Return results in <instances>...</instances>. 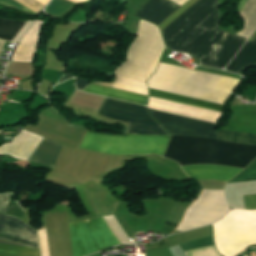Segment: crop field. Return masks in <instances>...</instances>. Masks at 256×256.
<instances>
[{
    "mask_svg": "<svg viewBox=\"0 0 256 256\" xmlns=\"http://www.w3.org/2000/svg\"><path fill=\"white\" fill-rule=\"evenodd\" d=\"M215 1L217 0H199L169 27ZM162 34L168 48L190 53L198 59L201 65L221 69L229 63L246 41L218 29L217 2L162 32Z\"/></svg>",
    "mask_w": 256,
    "mask_h": 256,
    "instance_id": "8a807250",
    "label": "crop field"
},
{
    "mask_svg": "<svg viewBox=\"0 0 256 256\" xmlns=\"http://www.w3.org/2000/svg\"><path fill=\"white\" fill-rule=\"evenodd\" d=\"M234 78L160 63L147 82L155 90L187 96L224 105L237 85Z\"/></svg>",
    "mask_w": 256,
    "mask_h": 256,
    "instance_id": "ac0d7876",
    "label": "crop field"
},
{
    "mask_svg": "<svg viewBox=\"0 0 256 256\" xmlns=\"http://www.w3.org/2000/svg\"><path fill=\"white\" fill-rule=\"evenodd\" d=\"M164 157L174 159L180 165L220 164L245 168L256 158V146L194 136H172Z\"/></svg>",
    "mask_w": 256,
    "mask_h": 256,
    "instance_id": "34b2d1b8",
    "label": "crop field"
},
{
    "mask_svg": "<svg viewBox=\"0 0 256 256\" xmlns=\"http://www.w3.org/2000/svg\"><path fill=\"white\" fill-rule=\"evenodd\" d=\"M164 48L159 28L141 20L137 38L128 52V59L115 73L146 82L156 71Z\"/></svg>",
    "mask_w": 256,
    "mask_h": 256,
    "instance_id": "412701ff",
    "label": "crop field"
},
{
    "mask_svg": "<svg viewBox=\"0 0 256 256\" xmlns=\"http://www.w3.org/2000/svg\"><path fill=\"white\" fill-rule=\"evenodd\" d=\"M170 136L112 135L87 131L80 147L108 154L163 155Z\"/></svg>",
    "mask_w": 256,
    "mask_h": 256,
    "instance_id": "f4fd0767",
    "label": "crop field"
},
{
    "mask_svg": "<svg viewBox=\"0 0 256 256\" xmlns=\"http://www.w3.org/2000/svg\"><path fill=\"white\" fill-rule=\"evenodd\" d=\"M69 226L73 256H84L120 244L103 217L72 222Z\"/></svg>",
    "mask_w": 256,
    "mask_h": 256,
    "instance_id": "dd49c442",
    "label": "crop field"
},
{
    "mask_svg": "<svg viewBox=\"0 0 256 256\" xmlns=\"http://www.w3.org/2000/svg\"><path fill=\"white\" fill-rule=\"evenodd\" d=\"M98 113L129 123L127 133L169 135L143 106L106 98Z\"/></svg>",
    "mask_w": 256,
    "mask_h": 256,
    "instance_id": "e52e79f7",
    "label": "crop field"
},
{
    "mask_svg": "<svg viewBox=\"0 0 256 256\" xmlns=\"http://www.w3.org/2000/svg\"><path fill=\"white\" fill-rule=\"evenodd\" d=\"M154 119L160 122L171 135H194L217 139L216 124L181 117L149 109Z\"/></svg>",
    "mask_w": 256,
    "mask_h": 256,
    "instance_id": "d8731c3e",
    "label": "crop field"
},
{
    "mask_svg": "<svg viewBox=\"0 0 256 256\" xmlns=\"http://www.w3.org/2000/svg\"><path fill=\"white\" fill-rule=\"evenodd\" d=\"M0 238L39 249L36 232L12 216L0 214Z\"/></svg>",
    "mask_w": 256,
    "mask_h": 256,
    "instance_id": "5a996713",
    "label": "crop field"
},
{
    "mask_svg": "<svg viewBox=\"0 0 256 256\" xmlns=\"http://www.w3.org/2000/svg\"><path fill=\"white\" fill-rule=\"evenodd\" d=\"M148 108L216 123L221 113L150 97Z\"/></svg>",
    "mask_w": 256,
    "mask_h": 256,
    "instance_id": "3316defc",
    "label": "crop field"
},
{
    "mask_svg": "<svg viewBox=\"0 0 256 256\" xmlns=\"http://www.w3.org/2000/svg\"><path fill=\"white\" fill-rule=\"evenodd\" d=\"M218 140L234 142V143H244V144H254L256 145V135L222 131L217 132ZM256 180V159L252 161L239 175L232 178L228 183L232 182H243V181H254Z\"/></svg>",
    "mask_w": 256,
    "mask_h": 256,
    "instance_id": "28ad6ade",
    "label": "crop field"
},
{
    "mask_svg": "<svg viewBox=\"0 0 256 256\" xmlns=\"http://www.w3.org/2000/svg\"><path fill=\"white\" fill-rule=\"evenodd\" d=\"M182 168L194 180L216 179L221 181H228L242 170L217 165L183 166Z\"/></svg>",
    "mask_w": 256,
    "mask_h": 256,
    "instance_id": "d1516ede",
    "label": "crop field"
},
{
    "mask_svg": "<svg viewBox=\"0 0 256 256\" xmlns=\"http://www.w3.org/2000/svg\"><path fill=\"white\" fill-rule=\"evenodd\" d=\"M181 6L169 0H151L134 16L160 25Z\"/></svg>",
    "mask_w": 256,
    "mask_h": 256,
    "instance_id": "22f410ed",
    "label": "crop field"
},
{
    "mask_svg": "<svg viewBox=\"0 0 256 256\" xmlns=\"http://www.w3.org/2000/svg\"><path fill=\"white\" fill-rule=\"evenodd\" d=\"M43 21H36L31 29L25 34L21 42L18 44L12 61L32 62L34 51L40 38V27Z\"/></svg>",
    "mask_w": 256,
    "mask_h": 256,
    "instance_id": "cbeb9de0",
    "label": "crop field"
},
{
    "mask_svg": "<svg viewBox=\"0 0 256 256\" xmlns=\"http://www.w3.org/2000/svg\"><path fill=\"white\" fill-rule=\"evenodd\" d=\"M256 65V40H248L245 46L239 51L226 70L239 74L248 67Z\"/></svg>",
    "mask_w": 256,
    "mask_h": 256,
    "instance_id": "5142ce71",
    "label": "crop field"
},
{
    "mask_svg": "<svg viewBox=\"0 0 256 256\" xmlns=\"http://www.w3.org/2000/svg\"><path fill=\"white\" fill-rule=\"evenodd\" d=\"M62 146L46 138L39 145L30 161L54 168Z\"/></svg>",
    "mask_w": 256,
    "mask_h": 256,
    "instance_id": "d9b57169",
    "label": "crop field"
},
{
    "mask_svg": "<svg viewBox=\"0 0 256 256\" xmlns=\"http://www.w3.org/2000/svg\"><path fill=\"white\" fill-rule=\"evenodd\" d=\"M83 91L103 94V95L131 101V102H136L144 105H147V100H148V97L146 96L124 92L116 89H110V88H106V87H102L94 84H91Z\"/></svg>",
    "mask_w": 256,
    "mask_h": 256,
    "instance_id": "733c2abd",
    "label": "crop field"
},
{
    "mask_svg": "<svg viewBox=\"0 0 256 256\" xmlns=\"http://www.w3.org/2000/svg\"><path fill=\"white\" fill-rule=\"evenodd\" d=\"M149 90H150V96H152V97L175 101V102L193 105V106H197V107L207 108V109L216 110V111H220V112L224 113V106H222V105L204 102V101H200V100H195V99H191V98H186V97L173 95V94H169V93H164V92H160V91H155V90H151V89H149Z\"/></svg>",
    "mask_w": 256,
    "mask_h": 256,
    "instance_id": "4a817a6b",
    "label": "crop field"
},
{
    "mask_svg": "<svg viewBox=\"0 0 256 256\" xmlns=\"http://www.w3.org/2000/svg\"><path fill=\"white\" fill-rule=\"evenodd\" d=\"M94 84L148 96V87L146 83L121 77L118 75H116V80L112 84H100V83H94Z\"/></svg>",
    "mask_w": 256,
    "mask_h": 256,
    "instance_id": "bc2a9ffb",
    "label": "crop field"
},
{
    "mask_svg": "<svg viewBox=\"0 0 256 256\" xmlns=\"http://www.w3.org/2000/svg\"><path fill=\"white\" fill-rule=\"evenodd\" d=\"M0 242L6 241L0 240ZM7 243H0V256H40L38 250Z\"/></svg>",
    "mask_w": 256,
    "mask_h": 256,
    "instance_id": "214f88e0",
    "label": "crop field"
},
{
    "mask_svg": "<svg viewBox=\"0 0 256 256\" xmlns=\"http://www.w3.org/2000/svg\"><path fill=\"white\" fill-rule=\"evenodd\" d=\"M25 22L0 19V38L12 40Z\"/></svg>",
    "mask_w": 256,
    "mask_h": 256,
    "instance_id": "92a150f3",
    "label": "crop field"
},
{
    "mask_svg": "<svg viewBox=\"0 0 256 256\" xmlns=\"http://www.w3.org/2000/svg\"><path fill=\"white\" fill-rule=\"evenodd\" d=\"M16 1L20 2L21 4L25 5L26 7L32 9L33 11H35L37 13L40 12L44 6L35 0H16ZM16 1L15 0H0V4H5V5L13 6L16 8L32 11Z\"/></svg>",
    "mask_w": 256,
    "mask_h": 256,
    "instance_id": "dafd665d",
    "label": "crop field"
},
{
    "mask_svg": "<svg viewBox=\"0 0 256 256\" xmlns=\"http://www.w3.org/2000/svg\"><path fill=\"white\" fill-rule=\"evenodd\" d=\"M71 7H73V6H71L69 4L62 3L58 0H52L45 10L54 15L59 16L62 13H64L65 11H67L68 9H70Z\"/></svg>",
    "mask_w": 256,
    "mask_h": 256,
    "instance_id": "00972430",
    "label": "crop field"
},
{
    "mask_svg": "<svg viewBox=\"0 0 256 256\" xmlns=\"http://www.w3.org/2000/svg\"><path fill=\"white\" fill-rule=\"evenodd\" d=\"M197 1L198 0L189 1L186 5H184L177 12H175L171 17H169L163 24H161L159 26L160 29L163 31L174 19H176L182 12H184L186 9H188L190 6H192Z\"/></svg>",
    "mask_w": 256,
    "mask_h": 256,
    "instance_id": "a9b5d70f",
    "label": "crop field"
},
{
    "mask_svg": "<svg viewBox=\"0 0 256 256\" xmlns=\"http://www.w3.org/2000/svg\"><path fill=\"white\" fill-rule=\"evenodd\" d=\"M246 209H256V194L244 196Z\"/></svg>",
    "mask_w": 256,
    "mask_h": 256,
    "instance_id": "4177f3b9",
    "label": "crop field"
},
{
    "mask_svg": "<svg viewBox=\"0 0 256 256\" xmlns=\"http://www.w3.org/2000/svg\"><path fill=\"white\" fill-rule=\"evenodd\" d=\"M71 77H73V76L65 74L64 77L60 80V82L66 80L68 78H71ZM77 79H78V81H77V88L79 90L85 88L87 83H88V80H84V79H81V78H78V77H77Z\"/></svg>",
    "mask_w": 256,
    "mask_h": 256,
    "instance_id": "730fd06b",
    "label": "crop field"
},
{
    "mask_svg": "<svg viewBox=\"0 0 256 256\" xmlns=\"http://www.w3.org/2000/svg\"><path fill=\"white\" fill-rule=\"evenodd\" d=\"M8 195H0V212L5 213L8 205Z\"/></svg>",
    "mask_w": 256,
    "mask_h": 256,
    "instance_id": "eef30255",
    "label": "crop field"
},
{
    "mask_svg": "<svg viewBox=\"0 0 256 256\" xmlns=\"http://www.w3.org/2000/svg\"><path fill=\"white\" fill-rule=\"evenodd\" d=\"M172 1H174V2H176L177 4H179V5H183L184 3H186L188 0H172Z\"/></svg>",
    "mask_w": 256,
    "mask_h": 256,
    "instance_id": "ae1a2a85",
    "label": "crop field"
},
{
    "mask_svg": "<svg viewBox=\"0 0 256 256\" xmlns=\"http://www.w3.org/2000/svg\"><path fill=\"white\" fill-rule=\"evenodd\" d=\"M38 1L46 5L49 0H38Z\"/></svg>",
    "mask_w": 256,
    "mask_h": 256,
    "instance_id": "d3111659",
    "label": "crop field"
},
{
    "mask_svg": "<svg viewBox=\"0 0 256 256\" xmlns=\"http://www.w3.org/2000/svg\"><path fill=\"white\" fill-rule=\"evenodd\" d=\"M74 2H80V1H85V0H72Z\"/></svg>",
    "mask_w": 256,
    "mask_h": 256,
    "instance_id": "750c4746",
    "label": "crop field"
}]
</instances>
